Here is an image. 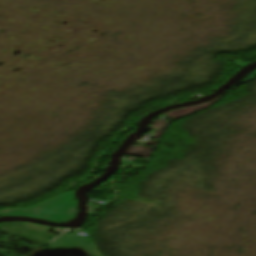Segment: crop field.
Wrapping results in <instances>:
<instances>
[{
    "mask_svg": "<svg viewBox=\"0 0 256 256\" xmlns=\"http://www.w3.org/2000/svg\"><path fill=\"white\" fill-rule=\"evenodd\" d=\"M73 192H68L57 198L37 205L28 210L7 209L0 211V216L34 217L49 221L73 218L76 211V202Z\"/></svg>",
    "mask_w": 256,
    "mask_h": 256,
    "instance_id": "8a807250",
    "label": "crop field"
},
{
    "mask_svg": "<svg viewBox=\"0 0 256 256\" xmlns=\"http://www.w3.org/2000/svg\"><path fill=\"white\" fill-rule=\"evenodd\" d=\"M49 227L23 222H10L0 224V232L18 236L30 243L44 245L57 235L47 233Z\"/></svg>",
    "mask_w": 256,
    "mask_h": 256,
    "instance_id": "ac0d7876",
    "label": "crop field"
},
{
    "mask_svg": "<svg viewBox=\"0 0 256 256\" xmlns=\"http://www.w3.org/2000/svg\"><path fill=\"white\" fill-rule=\"evenodd\" d=\"M219 97H217L216 99L210 101L207 104H203V105H199V106L186 107V108H181V109H176V110L170 111V112L165 113V114L170 116V117H172V118L180 117V116H183L185 114L191 113L193 111H196V110H199V109L205 107L206 105H208V104L212 103L213 101L217 100Z\"/></svg>",
    "mask_w": 256,
    "mask_h": 256,
    "instance_id": "34b2d1b8",
    "label": "crop field"
},
{
    "mask_svg": "<svg viewBox=\"0 0 256 256\" xmlns=\"http://www.w3.org/2000/svg\"><path fill=\"white\" fill-rule=\"evenodd\" d=\"M256 75V70L255 71H253L252 73H250V74H248L246 77H244L242 80H240L238 83H236L235 85H237V84H239V83H241V82H243V81H245V80H247V79H249V78H251V77H253V76H255ZM234 86V85H233Z\"/></svg>",
    "mask_w": 256,
    "mask_h": 256,
    "instance_id": "412701ff",
    "label": "crop field"
},
{
    "mask_svg": "<svg viewBox=\"0 0 256 256\" xmlns=\"http://www.w3.org/2000/svg\"><path fill=\"white\" fill-rule=\"evenodd\" d=\"M0 236H2V234H0ZM0 256H4V255L0 253Z\"/></svg>",
    "mask_w": 256,
    "mask_h": 256,
    "instance_id": "f4fd0767",
    "label": "crop field"
}]
</instances>
